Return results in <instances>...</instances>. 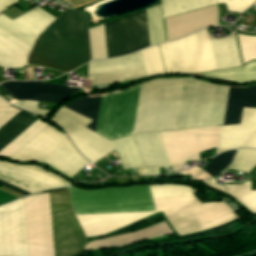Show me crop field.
I'll return each instance as SVG.
<instances>
[{"mask_svg":"<svg viewBox=\"0 0 256 256\" xmlns=\"http://www.w3.org/2000/svg\"><path fill=\"white\" fill-rule=\"evenodd\" d=\"M140 85L107 95L80 96L64 107L93 120L86 128L112 140L132 135ZM232 88L195 79L141 85L133 137L144 168L168 167L158 132L223 124ZM243 107H256V85L233 88L223 125L239 124Z\"/></svg>","mask_w":256,"mask_h":256,"instance_id":"8a807250","label":"crop field"},{"mask_svg":"<svg viewBox=\"0 0 256 256\" xmlns=\"http://www.w3.org/2000/svg\"><path fill=\"white\" fill-rule=\"evenodd\" d=\"M155 196L194 195L181 185L153 186ZM152 186L85 191L69 187L75 215L162 211L179 235L219 226L238 219L224 203L200 204L196 196L156 197ZM158 211L77 216L86 237L106 234ZM173 228V229H174ZM176 232V233H177Z\"/></svg>","mask_w":256,"mask_h":256,"instance_id":"ac0d7876","label":"crop field"},{"mask_svg":"<svg viewBox=\"0 0 256 256\" xmlns=\"http://www.w3.org/2000/svg\"><path fill=\"white\" fill-rule=\"evenodd\" d=\"M55 256H74L86 241L68 191L50 193ZM29 256H54L49 192L24 198Z\"/></svg>","mask_w":256,"mask_h":256,"instance_id":"34b2d1b8","label":"crop field"},{"mask_svg":"<svg viewBox=\"0 0 256 256\" xmlns=\"http://www.w3.org/2000/svg\"><path fill=\"white\" fill-rule=\"evenodd\" d=\"M48 28L28 63L71 71L90 61L85 14L67 9Z\"/></svg>","mask_w":256,"mask_h":256,"instance_id":"412701ff","label":"crop field"},{"mask_svg":"<svg viewBox=\"0 0 256 256\" xmlns=\"http://www.w3.org/2000/svg\"><path fill=\"white\" fill-rule=\"evenodd\" d=\"M55 19L38 6L13 21L0 14V66H25L35 39Z\"/></svg>","mask_w":256,"mask_h":256,"instance_id":"f4fd0767","label":"crop field"},{"mask_svg":"<svg viewBox=\"0 0 256 256\" xmlns=\"http://www.w3.org/2000/svg\"><path fill=\"white\" fill-rule=\"evenodd\" d=\"M65 131L80 153L93 163L114 150L123 169L143 168L132 136L109 141L73 121Z\"/></svg>","mask_w":256,"mask_h":256,"instance_id":"dd49c442","label":"crop field"},{"mask_svg":"<svg viewBox=\"0 0 256 256\" xmlns=\"http://www.w3.org/2000/svg\"><path fill=\"white\" fill-rule=\"evenodd\" d=\"M221 127L159 133L173 172L178 170L175 164L200 161L199 152L217 147Z\"/></svg>","mask_w":256,"mask_h":256,"instance_id":"e52e79f7","label":"crop field"},{"mask_svg":"<svg viewBox=\"0 0 256 256\" xmlns=\"http://www.w3.org/2000/svg\"><path fill=\"white\" fill-rule=\"evenodd\" d=\"M108 58L148 47L145 10L105 23Z\"/></svg>","mask_w":256,"mask_h":256,"instance_id":"d8731c3e","label":"crop field"},{"mask_svg":"<svg viewBox=\"0 0 256 256\" xmlns=\"http://www.w3.org/2000/svg\"><path fill=\"white\" fill-rule=\"evenodd\" d=\"M0 256H28L23 198L0 207Z\"/></svg>","mask_w":256,"mask_h":256,"instance_id":"5a996713","label":"crop field"},{"mask_svg":"<svg viewBox=\"0 0 256 256\" xmlns=\"http://www.w3.org/2000/svg\"><path fill=\"white\" fill-rule=\"evenodd\" d=\"M91 85L120 82L145 77L140 51L110 60H99L88 63Z\"/></svg>","mask_w":256,"mask_h":256,"instance_id":"3316defc","label":"crop field"},{"mask_svg":"<svg viewBox=\"0 0 256 256\" xmlns=\"http://www.w3.org/2000/svg\"><path fill=\"white\" fill-rule=\"evenodd\" d=\"M68 141L65 135L47 125L8 159L42 163Z\"/></svg>","mask_w":256,"mask_h":256,"instance_id":"28ad6ade","label":"crop field"},{"mask_svg":"<svg viewBox=\"0 0 256 256\" xmlns=\"http://www.w3.org/2000/svg\"><path fill=\"white\" fill-rule=\"evenodd\" d=\"M2 88L17 100H40L57 103L80 88L64 87L41 82H5Z\"/></svg>","mask_w":256,"mask_h":256,"instance_id":"d1516ede","label":"crop field"},{"mask_svg":"<svg viewBox=\"0 0 256 256\" xmlns=\"http://www.w3.org/2000/svg\"><path fill=\"white\" fill-rule=\"evenodd\" d=\"M243 147L256 149V109L244 108L240 125L222 128L218 153Z\"/></svg>","mask_w":256,"mask_h":256,"instance_id":"22f410ed","label":"crop field"},{"mask_svg":"<svg viewBox=\"0 0 256 256\" xmlns=\"http://www.w3.org/2000/svg\"><path fill=\"white\" fill-rule=\"evenodd\" d=\"M215 9H217L216 6L200 9L197 11L167 18L166 22L191 16V15H195V14H199V13H203V12H207V11H211V10H215ZM217 25H218L217 10L192 16V17H188V18H184V19H180V20H176V21H172V22H168L166 23L168 41L191 34L201 28L217 26Z\"/></svg>","mask_w":256,"mask_h":256,"instance_id":"cbeb9de0","label":"crop field"},{"mask_svg":"<svg viewBox=\"0 0 256 256\" xmlns=\"http://www.w3.org/2000/svg\"><path fill=\"white\" fill-rule=\"evenodd\" d=\"M19 110L9 106V104L0 98V127L12 118ZM35 118L19 112L5 125L0 128V150L4 148L9 142L23 132L30 126Z\"/></svg>","mask_w":256,"mask_h":256,"instance_id":"5142ce71","label":"crop field"},{"mask_svg":"<svg viewBox=\"0 0 256 256\" xmlns=\"http://www.w3.org/2000/svg\"><path fill=\"white\" fill-rule=\"evenodd\" d=\"M193 72L213 71L214 63L207 30L185 37Z\"/></svg>","mask_w":256,"mask_h":256,"instance_id":"d9b57169","label":"crop field"},{"mask_svg":"<svg viewBox=\"0 0 256 256\" xmlns=\"http://www.w3.org/2000/svg\"><path fill=\"white\" fill-rule=\"evenodd\" d=\"M166 74L192 72L184 38L159 45Z\"/></svg>","mask_w":256,"mask_h":256,"instance_id":"733c2abd","label":"crop field"},{"mask_svg":"<svg viewBox=\"0 0 256 256\" xmlns=\"http://www.w3.org/2000/svg\"><path fill=\"white\" fill-rule=\"evenodd\" d=\"M172 233L171 229L165 222L158 223L144 230L116 236L113 238L93 241L87 244L86 249H94L98 247L119 246L135 243L144 239L154 238L165 234Z\"/></svg>","mask_w":256,"mask_h":256,"instance_id":"4a817a6b","label":"crop field"},{"mask_svg":"<svg viewBox=\"0 0 256 256\" xmlns=\"http://www.w3.org/2000/svg\"><path fill=\"white\" fill-rule=\"evenodd\" d=\"M216 70L240 66V57L234 34L210 40Z\"/></svg>","mask_w":256,"mask_h":256,"instance_id":"bc2a9ffb","label":"crop field"},{"mask_svg":"<svg viewBox=\"0 0 256 256\" xmlns=\"http://www.w3.org/2000/svg\"><path fill=\"white\" fill-rule=\"evenodd\" d=\"M73 147L69 141L49 159H47L46 162L51 163L56 168L70 176L79 172L89 164V162H87Z\"/></svg>","mask_w":256,"mask_h":256,"instance_id":"214f88e0","label":"crop field"},{"mask_svg":"<svg viewBox=\"0 0 256 256\" xmlns=\"http://www.w3.org/2000/svg\"><path fill=\"white\" fill-rule=\"evenodd\" d=\"M0 164L44 183L52 188L65 187L71 183L37 165H17L11 162L0 160Z\"/></svg>","mask_w":256,"mask_h":256,"instance_id":"92a150f3","label":"crop field"},{"mask_svg":"<svg viewBox=\"0 0 256 256\" xmlns=\"http://www.w3.org/2000/svg\"><path fill=\"white\" fill-rule=\"evenodd\" d=\"M205 76L237 82H248L256 80V61L250 62L243 67L213 71L203 74Z\"/></svg>","mask_w":256,"mask_h":256,"instance_id":"dafd665d","label":"crop field"},{"mask_svg":"<svg viewBox=\"0 0 256 256\" xmlns=\"http://www.w3.org/2000/svg\"><path fill=\"white\" fill-rule=\"evenodd\" d=\"M0 179L30 193L51 189L50 187L41 184L33 179L21 175L13 170H10L0 165Z\"/></svg>","mask_w":256,"mask_h":256,"instance_id":"00972430","label":"crop field"},{"mask_svg":"<svg viewBox=\"0 0 256 256\" xmlns=\"http://www.w3.org/2000/svg\"><path fill=\"white\" fill-rule=\"evenodd\" d=\"M150 46L165 42L161 4L146 10Z\"/></svg>","mask_w":256,"mask_h":256,"instance_id":"a9b5d70f","label":"crop field"},{"mask_svg":"<svg viewBox=\"0 0 256 256\" xmlns=\"http://www.w3.org/2000/svg\"><path fill=\"white\" fill-rule=\"evenodd\" d=\"M225 186L232 197L256 214V191H250L251 182H245L244 185L225 184Z\"/></svg>","mask_w":256,"mask_h":256,"instance_id":"4177f3b9","label":"crop field"},{"mask_svg":"<svg viewBox=\"0 0 256 256\" xmlns=\"http://www.w3.org/2000/svg\"><path fill=\"white\" fill-rule=\"evenodd\" d=\"M47 124L39 119L0 151V157L7 158Z\"/></svg>","mask_w":256,"mask_h":256,"instance_id":"730fd06b","label":"crop field"},{"mask_svg":"<svg viewBox=\"0 0 256 256\" xmlns=\"http://www.w3.org/2000/svg\"><path fill=\"white\" fill-rule=\"evenodd\" d=\"M141 52L145 71L148 76L164 73L158 45L142 50Z\"/></svg>","mask_w":256,"mask_h":256,"instance_id":"eef30255","label":"crop field"},{"mask_svg":"<svg viewBox=\"0 0 256 256\" xmlns=\"http://www.w3.org/2000/svg\"><path fill=\"white\" fill-rule=\"evenodd\" d=\"M89 35L92 60L107 58L103 24L90 28Z\"/></svg>","mask_w":256,"mask_h":256,"instance_id":"ae1a2a85","label":"crop field"},{"mask_svg":"<svg viewBox=\"0 0 256 256\" xmlns=\"http://www.w3.org/2000/svg\"><path fill=\"white\" fill-rule=\"evenodd\" d=\"M256 165V151L251 149L238 150L229 169L249 173Z\"/></svg>","mask_w":256,"mask_h":256,"instance_id":"d3111659","label":"crop field"},{"mask_svg":"<svg viewBox=\"0 0 256 256\" xmlns=\"http://www.w3.org/2000/svg\"><path fill=\"white\" fill-rule=\"evenodd\" d=\"M51 120H54L57 122L60 126H62L64 129L68 126V124L73 120L83 126H87L91 120L69 110L64 107L59 109L55 115L51 118Z\"/></svg>","mask_w":256,"mask_h":256,"instance_id":"750c4746","label":"crop field"},{"mask_svg":"<svg viewBox=\"0 0 256 256\" xmlns=\"http://www.w3.org/2000/svg\"><path fill=\"white\" fill-rule=\"evenodd\" d=\"M235 152L236 150L228 151L211 159L212 161L207 163L204 171L212 177L217 176L224 167L230 164Z\"/></svg>","mask_w":256,"mask_h":256,"instance_id":"bd1437ed","label":"crop field"},{"mask_svg":"<svg viewBox=\"0 0 256 256\" xmlns=\"http://www.w3.org/2000/svg\"><path fill=\"white\" fill-rule=\"evenodd\" d=\"M239 36V41L243 53L244 63L256 59V46L253 37L249 36Z\"/></svg>","mask_w":256,"mask_h":256,"instance_id":"1d83c4d3","label":"crop field"},{"mask_svg":"<svg viewBox=\"0 0 256 256\" xmlns=\"http://www.w3.org/2000/svg\"><path fill=\"white\" fill-rule=\"evenodd\" d=\"M163 18L182 14L181 0H162Z\"/></svg>","mask_w":256,"mask_h":256,"instance_id":"120bbe31","label":"crop field"},{"mask_svg":"<svg viewBox=\"0 0 256 256\" xmlns=\"http://www.w3.org/2000/svg\"><path fill=\"white\" fill-rule=\"evenodd\" d=\"M256 0H217V4L225 3L228 10L242 13Z\"/></svg>","mask_w":256,"mask_h":256,"instance_id":"d32e631a","label":"crop field"},{"mask_svg":"<svg viewBox=\"0 0 256 256\" xmlns=\"http://www.w3.org/2000/svg\"><path fill=\"white\" fill-rule=\"evenodd\" d=\"M204 7L215 5L216 0H203ZM202 0H183L184 13L203 7Z\"/></svg>","mask_w":256,"mask_h":256,"instance_id":"5866460e","label":"crop field"},{"mask_svg":"<svg viewBox=\"0 0 256 256\" xmlns=\"http://www.w3.org/2000/svg\"><path fill=\"white\" fill-rule=\"evenodd\" d=\"M179 174L192 175V179L199 180V181H204L208 178H211V176H209L207 173H205L203 170H201L197 166L191 168L190 170L179 172ZM172 176H173V174L164 176V177H172Z\"/></svg>","mask_w":256,"mask_h":256,"instance_id":"028f5c9d","label":"crop field"},{"mask_svg":"<svg viewBox=\"0 0 256 256\" xmlns=\"http://www.w3.org/2000/svg\"><path fill=\"white\" fill-rule=\"evenodd\" d=\"M14 105H16V106H18V107H20V108H22V109L28 110V111H30V112H33V113L42 115V116H45V115L47 114V111L37 109L38 102H33V101H18V102L15 103Z\"/></svg>","mask_w":256,"mask_h":256,"instance_id":"e1f06a70","label":"crop field"},{"mask_svg":"<svg viewBox=\"0 0 256 256\" xmlns=\"http://www.w3.org/2000/svg\"><path fill=\"white\" fill-rule=\"evenodd\" d=\"M0 184H3V185H5V186H7V187H9V188H11V189H13V190H15V191L21 193V194H23V195L29 194V193H26V192H24V191H22V190H20V189H17V188H15V187H13V186H11V185H9V184H6V183H4V182H2V181H0ZM14 198H16V197H14V196H12V195H10V194H7V193H5V192H3V191L0 190V204L6 202V201H8V200L14 199Z\"/></svg>","mask_w":256,"mask_h":256,"instance_id":"0bd39190","label":"crop field"},{"mask_svg":"<svg viewBox=\"0 0 256 256\" xmlns=\"http://www.w3.org/2000/svg\"><path fill=\"white\" fill-rule=\"evenodd\" d=\"M67 3H70L74 8L79 7L81 5L87 4L89 2L95 0H65Z\"/></svg>","mask_w":256,"mask_h":256,"instance_id":"b80d0937","label":"crop field"},{"mask_svg":"<svg viewBox=\"0 0 256 256\" xmlns=\"http://www.w3.org/2000/svg\"><path fill=\"white\" fill-rule=\"evenodd\" d=\"M18 0H0V11H4Z\"/></svg>","mask_w":256,"mask_h":256,"instance_id":"c035e120","label":"crop field"},{"mask_svg":"<svg viewBox=\"0 0 256 256\" xmlns=\"http://www.w3.org/2000/svg\"><path fill=\"white\" fill-rule=\"evenodd\" d=\"M215 182H216L215 180L210 179V180H208V181H206L204 183H206V184H208V185H210V186H212V187H214L216 189H219V190H222V191L226 192L224 187L216 185Z\"/></svg>","mask_w":256,"mask_h":256,"instance_id":"c21b1889","label":"crop field"},{"mask_svg":"<svg viewBox=\"0 0 256 256\" xmlns=\"http://www.w3.org/2000/svg\"><path fill=\"white\" fill-rule=\"evenodd\" d=\"M24 69H25V71H26V73H27L29 79L34 78L33 72H32V69H31V68H24Z\"/></svg>","mask_w":256,"mask_h":256,"instance_id":"03da06ac","label":"crop field"},{"mask_svg":"<svg viewBox=\"0 0 256 256\" xmlns=\"http://www.w3.org/2000/svg\"><path fill=\"white\" fill-rule=\"evenodd\" d=\"M255 41H256V37H255Z\"/></svg>","mask_w":256,"mask_h":256,"instance_id":"b54c1fbb","label":"crop field"},{"mask_svg":"<svg viewBox=\"0 0 256 256\" xmlns=\"http://www.w3.org/2000/svg\"><path fill=\"white\" fill-rule=\"evenodd\" d=\"M255 6H256V4H255Z\"/></svg>","mask_w":256,"mask_h":256,"instance_id":"5d738f31","label":"crop field"},{"mask_svg":"<svg viewBox=\"0 0 256 256\" xmlns=\"http://www.w3.org/2000/svg\"><path fill=\"white\" fill-rule=\"evenodd\" d=\"M1 13V12H0Z\"/></svg>","mask_w":256,"mask_h":256,"instance_id":"d23c7cc5","label":"crop field"}]
</instances>
